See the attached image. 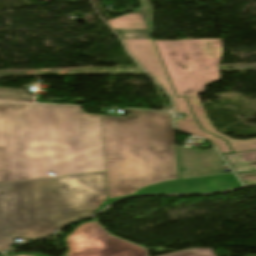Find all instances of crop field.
<instances>
[{
	"label": "crop field",
	"mask_w": 256,
	"mask_h": 256,
	"mask_svg": "<svg viewBox=\"0 0 256 256\" xmlns=\"http://www.w3.org/2000/svg\"><path fill=\"white\" fill-rule=\"evenodd\" d=\"M174 113L182 112L187 115L186 118L175 119L176 127L185 133L202 136L214 143L221 154L231 153L226 141L202 131L196 123L191 110L184 97L173 99Z\"/></svg>",
	"instance_id": "9"
},
{
	"label": "crop field",
	"mask_w": 256,
	"mask_h": 256,
	"mask_svg": "<svg viewBox=\"0 0 256 256\" xmlns=\"http://www.w3.org/2000/svg\"><path fill=\"white\" fill-rule=\"evenodd\" d=\"M154 42L177 97L203 93L205 86L221 79L222 39Z\"/></svg>",
	"instance_id": "4"
},
{
	"label": "crop field",
	"mask_w": 256,
	"mask_h": 256,
	"mask_svg": "<svg viewBox=\"0 0 256 256\" xmlns=\"http://www.w3.org/2000/svg\"><path fill=\"white\" fill-rule=\"evenodd\" d=\"M17 255H19V254H17ZM29 255H32V254H29ZM14 256V255H13ZM34 256H45V255H34Z\"/></svg>",
	"instance_id": "18"
},
{
	"label": "crop field",
	"mask_w": 256,
	"mask_h": 256,
	"mask_svg": "<svg viewBox=\"0 0 256 256\" xmlns=\"http://www.w3.org/2000/svg\"><path fill=\"white\" fill-rule=\"evenodd\" d=\"M179 180L230 174L223 173L221 159L215 149L198 151L176 146Z\"/></svg>",
	"instance_id": "6"
},
{
	"label": "crop field",
	"mask_w": 256,
	"mask_h": 256,
	"mask_svg": "<svg viewBox=\"0 0 256 256\" xmlns=\"http://www.w3.org/2000/svg\"><path fill=\"white\" fill-rule=\"evenodd\" d=\"M0 100L33 102V95L24 90L0 88Z\"/></svg>",
	"instance_id": "13"
},
{
	"label": "crop field",
	"mask_w": 256,
	"mask_h": 256,
	"mask_svg": "<svg viewBox=\"0 0 256 256\" xmlns=\"http://www.w3.org/2000/svg\"><path fill=\"white\" fill-rule=\"evenodd\" d=\"M129 53L174 98L176 97L164 71L152 39H123Z\"/></svg>",
	"instance_id": "8"
},
{
	"label": "crop field",
	"mask_w": 256,
	"mask_h": 256,
	"mask_svg": "<svg viewBox=\"0 0 256 256\" xmlns=\"http://www.w3.org/2000/svg\"><path fill=\"white\" fill-rule=\"evenodd\" d=\"M19 256H29V255H19Z\"/></svg>",
	"instance_id": "19"
},
{
	"label": "crop field",
	"mask_w": 256,
	"mask_h": 256,
	"mask_svg": "<svg viewBox=\"0 0 256 256\" xmlns=\"http://www.w3.org/2000/svg\"><path fill=\"white\" fill-rule=\"evenodd\" d=\"M112 28H147L141 13L127 14L108 21Z\"/></svg>",
	"instance_id": "12"
},
{
	"label": "crop field",
	"mask_w": 256,
	"mask_h": 256,
	"mask_svg": "<svg viewBox=\"0 0 256 256\" xmlns=\"http://www.w3.org/2000/svg\"><path fill=\"white\" fill-rule=\"evenodd\" d=\"M7 182L4 148H0V183Z\"/></svg>",
	"instance_id": "16"
},
{
	"label": "crop field",
	"mask_w": 256,
	"mask_h": 256,
	"mask_svg": "<svg viewBox=\"0 0 256 256\" xmlns=\"http://www.w3.org/2000/svg\"><path fill=\"white\" fill-rule=\"evenodd\" d=\"M186 98L193 110V113L196 119L198 120L200 125L203 127V129L216 136L226 139L229 145L231 146L233 152L256 149V138L248 139V140H234L216 132L209 118L207 117L198 96L195 95V96H189Z\"/></svg>",
	"instance_id": "10"
},
{
	"label": "crop field",
	"mask_w": 256,
	"mask_h": 256,
	"mask_svg": "<svg viewBox=\"0 0 256 256\" xmlns=\"http://www.w3.org/2000/svg\"><path fill=\"white\" fill-rule=\"evenodd\" d=\"M140 8L149 28H153V7L149 0H140Z\"/></svg>",
	"instance_id": "15"
},
{
	"label": "crop field",
	"mask_w": 256,
	"mask_h": 256,
	"mask_svg": "<svg viewBox=\"0 0 256 256\" xmlns=\"http://www.w3.org/2000/svg\"><path fill=\"white\" fill-rule=\"evenodd\" d=\"M163 256H216L209 248L186 249Z\"/></svg>",
	"instance_id": "14"
},
{
	"label": "crop field",
	"mask_w": 256,
	"mask_h": 256,
	"mask_svg": "<svg viewBox=\"0 0 256 256\" xmlns=\"http://www.w3.org/2000/svg\"><path fill=\"white\" fill-rule=\"evenodd\" d=\"M106 200L105 172L0 184V251L12 238L37 239L87 218Z\"/></svg>",
	"instance_id": "2"
},
{
	"label": "crop field",
	"mask_w": 256,
	"mask_h": 256,
	"mask_svg": "<svg viewBox=\"0 0 256 256\" xmlns=\"http://www.w3.org/2000/svg\"><path fill=\"white\" fill-rule=\"evenodd\" d=\"M224 157L236 173L256 170V150L225 154Z\"/></svg>",
	"instance_id": "11"
},
{
	"label": "crop field",
	"mask_w": 256,
	"mask_h": 256,
	"mask_svg": "<svg viewBox=\"0 0 256 256\" xmlns=\"http://www.w3.org/2000/svg\"><path fill=\"white\" fill-rule=\"evenodd\" d=\"M46 1H49V0H46Z\"/></svg>",
	"instance_id": "20"
},
{
	"label": "crop field",
	"mask_w": 256,
	"mask_h": 256,
	"mask_svg": "<svg viewBox=\"0 0 256 256\" xmlns=\"http://www.w3.org/2000/svg\"><path fill=\"white\" fill-rule=\"evenodd\" d=\"M8 182L105 171L100 115L81 106L0 103Z\"/></svg>",
	"instance_id": "1"
},
{
	"label": "crop field",
	"mask_w": 256,
	"mask_h": 256,
	"mask_svg": "<svg viewBox=\"0 0 256 256\" xmlns=\"http://www.w3.org/2000/svg\"><path fill=\"white\" fill-rule=\"evenodd\" d=\"M165 112L101 115L108 199L178 180L174 128Z\"/></svg>",
	"instance_id": "3"
},
{
	"label": "crop field",
	"mask_w": 256,
	"mask_h": 256,
	"mask_svg": "<svg viewBox=\"0 0 256 256\" xmlns=\"http://www.w3.org/2000/svg\"><path fill=\"white\" fill-rule=\"evenodd\" d=\"M237 187H242V185L234 175H229V176L209 177V178L161 183L150 188L142 189L139 191L137 195L159 194V193H206V192H213V191H224V190L233 189ZM133 196H136V195H133ZM116 200L117 199L107 201L102 206V208L108 206L109 204H111Z\"/></svg>",
	"instance_id": "7"
},
{
	"label": "crop field",
	"mask_w": 256,
	"mask_h": 256,
	"mask_svg": "<svg viewBox=\"0 0 256 256\" xmlns=\"http://www.w3.org/2000/svg\"><path fill=\"white\" fill-rule=\"evenodd\" d=\"M238 176L243 181V183L246 185L256 184V172L240 174Z\"/></svg>",
	"instance_id": "17"
},
{
	"label": "crop field",
	"mask_w": 256,
	"mask_h": 256,
	"mask_svg": "<svg viewBox=\"0 0 256 256\" xmlns=\"http://www.w3.org/2000/svg\"><path fill=\"white\" fill-rule=\"evenodd\" d=\"M65 256H145V250L105 233L97 223L86 222L66 238Z\"/></svg>",
	"instance_id": "5"
}]
</instances>
